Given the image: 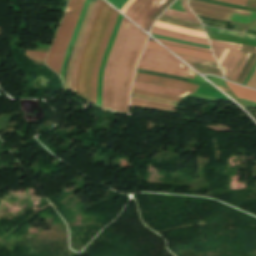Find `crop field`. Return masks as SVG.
Instances as JSON below:
<instances>
[{"label":"crop field","instance_id":"1","mask_svg":"<svg viewBox=\"0 0 256 256\" xmlns=\"http://www.w3.org/2000/svg\"><path fill=\"white\" fill-rule=\"evenodd\" d=\"M144 32L122 18L103 75L102 106L123 113L125 90Z\"/></svg>","mask_w":256,"mask_h":256},{"label":"crop field","instance_id":"2","mask_svg":"<svg viewBox=\"0 0 256 256\" xmlns=\"http://www.w3.org/2000/svg\"><path fill=\"white\" fill-rule=\"evenodd\" d=\"M114 10L102 2L95 18L91 33L79 62L76 77V94L91 103V77L98 50L102 44Z\"/></svg>","mask_w":256,"mask_h":256},{"label":"crop field","instance_id":"3","mask_svg":"<svg viewBox=\"0 0 256 256\" xmlns=\"http://www.w3.org/2000/svg\"><path fill=\"white\" fill-rule=\"evenodd\" d=\"M84 0H70L65 11L63 20L53 40L52 47L46 57V64L58 75L62 61L74 31Z\"/></svg>","mask_w":256,"mask_h":256},{"label":"crop field","instance_id":"4","mask_svg":"<svg viewBox=\"0 0 256 256\" xmlns=\"http://www.w3.org/2000/svg\"><path fill=\"white\" fill-rule=\"evenodd\" d=\"M140 69L153 70L191 79L194 72L170 53L145 49L138 63Z\"/></svg>","mask_w":256,"mask_h":256},{"label":"crop field","instance_id":"5","mask_svg":"<svg viewBox=\"0 0 256 256\" xmlns=\"http://www.w3.org/2000/svg\"><path fill=\"white\" fill-rule=\"evenodd\" d=\"M211 42V47H212V50L214 52V55L218 61L222 51L224 48H228L230 49L226 58L223 60L222 64H221V67H222V70H223V73L225 75V78L229 80L237 62L239 61L242 53L241 52H249V53H256V48L254 47H248V46H244L240 44H234V43H226V42H219V41H213V40H210ZM241 47V49H240ZM240 49L241 52H238ZM249 53L246 54L243 62L241 63L234 79H233V82H235L238 74L240 73L242 67L244 66L248 56H249ZM256 60V56L253 58L250 66L248 67V69L245 71L241 81H240V84L242 83L244 77L246 76V74L248 73L249 69L251 68V66L253 65V63L255 62ZM246 78V77H245Z\"/></svg>","mask_w":256,"mask_h":256},{"label":"crop field","instance_id":"6","mask_svg":"<svg viewBox=\"0 0 256 256\" xmlns=\"http://www.w3.org/2000/svg\"><path fill=\"white\" fill-rule=\"evenodd\" d=\"M167 0H136L125 12L129 19L145 29L148 20Z\"/></svg>","mask_w":256,"mask_h":256},{"label":"crop field","instance_id":"7","mask_svg":"<svg viewBox=\"0 0 256 256\" xmlns=\"http://www.w3.org/2000/svg\"><path fill=\"white\" fill-rule=\"evenodd\" d=\"M190 9L198 15H203L211 18L223 19L229 21L232 14L249 17L251 12L215 6L195 0H188Z\"/></svg>","mask_w":256,"mask_h":256},{"label":"crop field","instance_id":"8","mask_svg":"<svg viewBox=\"0 0 256 256\" xmlns=\"http://www.w3.org/2000/svg\"><path fill=\"white\" fill-rule=\"evenodd\" d=\"M134 80L159 84V85L176 88V89H181V90H187V91H191V92H195L196 88L198 87L197 85L189 84V83L182 82V81L154 77V76L143 75V74H138V73H136Z\"/></svg>","mask_w":256,"mask_h":256},{"label":"crop field","instance_id":"9","mask_svg":"<svg viewBox=\"0 0 256 256\" xmlns=\"http://www.w3.org/2000/svg\"><path fill=\"white\" fill-rule=\"evenodd\" d=\"M176 55L179 56L182 60H184L185 62H188V63L220 69L217 62H214V61L204 60V59H200V58L192 57V56H188V55H180V54H176ZM192 64H189V65H191L194 69H196L200 73L216 74V75H219V76L223 77L222 74H221V71H219V70L206 68V67H201V66H196V65H192Z\"/></svg>","mask_w":256,"mask_h":256},{"label":"crop field","instance_id":"10","mask_svg":"<svg viewBox=\"0 0 256 256\" xmlns=\"http://www.w3.org/2000/svg\"><path fill=\"white\" fill-rule=\"evenodd\" d=\"M93 1H95V0H93ZM93 1H91L89 6H88V9L86 11L85 17L83 19L80 31L78 33L76 42L74 44V47H73V50H72V53H71V57H70V60H69V64H68L67 71H66V77H65V91L70 90V77H71V71H72V67H73V63H74L75 53H76V50L78 48L79 42L81 40L82 34L84 32V29H85V26L87 24L88 18H89L90 13H91V10L93 8V5L95 3Z\"/></svg>","mask_w":256,"mask_h":256},{"label":"crop field","instance_id":"11","mask_svg":"<svg viewBox=\"0 0 256 256\" xmlns=\"http://www.w3.org/2000/svg\"><path fill=\"white\" fill-rule=\"evenodd\" d=\"M116 12H114L112 21H111L109 29H108V32H107L106 37H105V39L103 41V44L101 46V49H100V52H99V55L97 57L96 64H95L94 74H93V78H92V103H94V104H96L98 69H99V65H100V61H101L102 55H103L105 47H106V45H107V43L109 41V38L111 36L112 30H113V27H114V24H115L117 15H118V13H116Z\"/></svg>","mask_w":256,"mask_h":256},{"label":"crop field","instance_id":"12","mask_svg":"<svg viewBox=\"0 0 256 256\" xmlns=\"http://www.w3.org/2000/svg\"><path fill=\"white\" fill-rule=\"evenodd\" d=\"M133 88L144 90V91H149V92L173 95V96H177L180 98L191 93V92L171 89V88H167V87H162V86H158V85L145 84V83L136 82V81H134Z\"/></svg>","mask_w":256,"mask_h":256},{"label":"crop field","instance_id":"13","mask_svg":"<svg viewBox=\"0 0 256 256\" xmlns=\"http://www.w3.org/2000/svg\"><path fill=\"white\" fill-rule=\"evenodd\" d=\"M101 1L102 0H97L95 5H94V9H93L90 21L88 23V26H87L86 32L84 34L83 40H82L81 45L79 47V50L77 52V56H76V60H75V64H74V68H73V72H72V77H71V91H75V76H76V70H77L78 62H79V59H80L81 53L83 51V48H84V45H85L88 33H89V31H90V29L92 27L95 15L97 13V10H98V7H99Z\"/></svg>","mask_w":256,"mask_h":256},{"label":"crop field","instance_id":"14","mask_svg":"<svg viewBox=\"0 0 256 256\" xmlns=\"http://www.w3.org/2000/svg\"><path fill=\"white\" fill-rule=\"evenodd\" d=\"M151 33L159 34V35H164V36H168V37H172V38H176V39H180V40H185V41H189V42H193V43L209 45L208 39L199 38V37H193V36H189V35L173 32V31L161 29V28L154 27V26L152 28V32Z\"/></svg>","mask_w":256,"mask_h":256},{"label":"crop field","instance_id":"15","mask_svg":"<svg viewBox=\"0 0 256 256\" xmlns=\"http://www.w3.org/2000/svg\"><path fill=\"white\" fill-rule=\"evenodd\" d=\"M121 18H122V16L118 15V18H117V21H116V24H115V27H114L113 34H112V36L110 38L109 44H108V46H107V48L105 50V53L103 55L101 66H100V70H99L97 104L100 105V106H101V84H102V74H103L104 64L106 62V59L108 57V54H109L110 48L112 46L113 40L115 38L116 32H117L118 27L120 25Z\"/></svg>","mask_w":256,"mask_h":256},{"label":"crop field","instance_id":"16","mask_svg":"<svg viewBox=\"0 0 256 256\" xmlns=\"http://www.w3.org/2000/svg\"><path fill=\"white\" fill-rule=\"evenodd\" d=\"M90 0H86L85 1V4L83 6V9H82V12H81V15L79 17V20H78V23L76 25V28H75V31L73 33V36H72V39L70 41V44H69V47L67 49V52H66V55H65V58H64V61H63V65H62V69H61V74H60V77L62 79V81L64 82V74H65V70H66V66H67V61H68V57H69V53H70V50L75 42V39H76V36H77V33H78V30L80 28V25H81V22H82V19L84 17V14H85V11L87 9V6L89 4Z\"/></svg>","mask_w":256,"mask_h":256},{"label":"crop field","instance_id":"17","mask_svg":"<svg viewBox=\"0 0 256 256\" xmlns=\"http://www.w3.org/2000/svg\"><path fill=\"white\" fill-rule=\"evenodd\" d=\"M182 6L184 7L187 13H182L175 10L167 9L164 15L201 25L200 21L188 9L186 5V0H182Z\"/></svg>","mask_w":256,"mask_h":256},{"label":"crop field","instance_id":"18","mask_svg":"<svg viewBox=\"0 0 256 256\" xmlns=\"http://www.w3.org/2000/svg\"><path fill=\"white\" fill-rule=\"evenodd\" d=\"M226 84L237 97L256 102V91L245 87L236 86L228 82H226Z\"/></svg>","mask_w":256,"mask_h":256},{"label":"crop field","instance_id":"19","mask_svg":"<svg viewBox=\"0 0 256 256\" xmlns=\"http://www.w3.org/2000/svg\"><path fill=\"white\" fill-rule=\"evenodd\" d=\"M147 35L144 34L141 44H140V48L137 54V57L133 63V67H132V71H131V75H130V79H129V83H128V87H127V91H126V98H125V108H124V113H128V100H129V95H130V87H131V81H132V77H133V73H134V69H135V65H136V61L140 55V53L142 52L144 45H145V41L147 39Z\"/></svg>","mask_w":256,"mask_h":256},{"label":"crop field","instance_id":"20","mask_svg":"<svg viewBox=\"0 0 256 256\" xmlns=\"http://www.w3.org/2000/svg\"><path fill=\"white\" fill-rule=\"evenodd\" d=\"M155 26L162 27V28L169 29V30H173V31H177V32H181V33H185V34H190V35H194V36L207 38L205 33L197 32V31H194V30L185 29V28H181V27L172 26V25L162 23V22H158V21H156Z\"/></svg>","mask_w":256,"mask_h":256},{"label":"crop field","instance_id":"21","mask_svg":"<svg viewBox=\"0 0 256 256\" xmlns=\"http://www.w3.org/2000/svg\"><path fill=\"white\" fill-rule=\"evenodd\" d=\"M158 20L163 21V22H167V23H171V24H175V25H179V26H183V27H187V28H191V29H195V30H199V31H203L202 27L199 26V25H195V24H192V23L172 19V18H169V17L164 16V15H162Z\"/></svg>","mask_w":256,"mask_h":256},{"label":"crop field","instance_id":"22","mask_svg":"<svg viewBox=\"0 0 256 256\" xmlns=\"http://www.w3.org/2000/svg\"><path fill=\"white\" fill-rule=\"evenodd\" d=\"M166 47L169 48L171 51H173L175 53L188 54V55H193V56L202 57V58H206V59H210V60L215 61L212 54H209V53L197 52V51L186 50V49L175 48V47H169V46H166Z\"/></svg>","mask_w":256,"mask_h":256},{"label":"crop field","instance_id":"23","mask_svg":"<svg viewBox=\"0 0 256 256\" xmlns=\"http://www.w3.org/2000/svg\"><path fill=\"white\" fill-rule=\"evenodd\" d=\"M208 31L210 33L214 34H219V35H226V36H233V37H240V38H247V39H254L256 40V36H251V35H246V34H240V33H235V32H230V31H225V30H220L216 28H210L207 27Z\"/></svg>","mask_w":256,"mask_h":256},{"label":"crop field","instance_id":"24","mask_svg":"<svg viewBox=\"0 0 256 256\" xmlns=\"http://www.w3.org/2000/svg\"><path fill=\"white\" fill-rule=\"evenodd\" d=\"M132 92L138 93V94H144V95H149V96H154L162 99H167V100H172V101H177L180 102V98L177 97H172V96H166V95H160V94H154V93H149V92H144V91H139V90H134L132 89Z\"/></svg>","mask_w":256,"mask_h":256},{"label":"crop field","instance_id":"25","mask_svg":"<svg viewBox=\"0 0 256 256\" xmlns=\"http://www.w3.org/2000/svg\"><path fill=\"white\" fill-rule=\"evenodd\" d=\"M131 101H133V102H138V103H143V104H148V105L159 106V107H165V108H175V107H176V106H174V105H168V104L150 102V101L141 100V99H134V98H131Z\"/></svg>","mask_w":256,"mask_h":256},{"label":"crop field","instance_id":"26","mask_svg":"<svg viewBox=\"0 0 256 256\" xmlns=\"http://www.w3.org/2000/svg\"><path fill=\"white\" fill-rule=\"evenodd\" d=\"M131 97H134V98H141V99H147V100L156 101V102H162V103H168V104L178 105L177 102H172V101H167V100H162V99L153 98V97H147V96H142V95L132 94Z\"/></svg>","mask_w":256,"mask_h":256},{"label":"crop field","instance_id":"27","mask_svg":"<svg viewBox=\"0 0 256 256\" xmlns=\"http://www.w3.org/2000/svg\"><path fill=\"white\" fill-rule=\"evenodd\" d=\"M47 53L26 50V55L30 58L44 60Z\"/></svg>","mask_w":256,"mask_h":256},{"label":"crop field","instance_id":"28","mask_svg":"<svg viewBox=\"0 0 256 256\" xmlns=\"http://www.w3.org/2000/svg\"><path fill=\"white\" fill-rule=\"evenodd\" d=\"M173 0H168L156 13L155 15L149 20L147 27L145 29V31L148 32L152 22L154 21V19L172 2Z\"/></svg>","mask_w":256,"mask_h":256},{"label":"crop field","instance_id":"29","mask_svg":"<svg viewBox=\"0 0 256 256\" xmlns=\"http://www.w3.org/2000/svg\"><path fill=\"white\" fill-rule=\"evenodd\" d=\"M154 37L157 38H162V39H166V40H171V41H175V42H179V43H183V44H187V45H193V46H199V47H206V48H210L209 46H203V45H198V44H193V43H188V42H183V41H179V40H175V39H171V38H167V37H163V36H159V35H153Z\"/></svg>","mask_w":256,"mask_h":256},{"label":"crop field","instance_id":"30","mask_svg":"<svg viewBox=\"0 0 256 256\" xmlns=\"http://www.w3.org/2000/svg\"><path fill=\"white\" fill-rule=\"evenodd\" d=\"M110 4L114 5L119 10L128 0H107Z\"/></svg>","mask_w":256,"mask_h":256},{"label":"crop field","instance_id":"31","mask_svg":"<svg viewBox=\"0 0 256 256\" xmlns=\"http://www.w3.org/2000/svg\"><path fill=\"white\" fill-rule=\"evenodd\" d=\"M247 86H250V87H253V88L256 89V71L254 72V74L249 79V81L247 83Z\"/></svg>","mask_w":256,"mask_h":256},{"label":"crop field","instance_id":"32","mask_svg":"<svg viewBox=\"0 0 256 256\" xmlns=\"http://www.w3.org/2000/svg\"><path fill=\"white\" fill-rule=\"evenodd\" d=\"M131 105H133V106H139V107L152 108V109H158V110H163V111H166V110H167V109H165V108H159V107H154V106H148V105H143V104H138V103H133V102H131Z\"/></svg>","mask_w":256,"mask_h":256},{"label":"crop field","instance_id":"33","mask_svg":"<svg viewBox=\"0 0 256 256\" xmlns=\"http://www.w3.org/2000/svg\"><path fill=\"white\" fill-rule=\"evenodd\" d=\"M223 2H228V3H234V4H239V5H245L246 0H219Z\"/></svg>","mask_w":256,"mask_h":256},{"label":"crop field","instance_id":"34","mask_svg":"<svg viewBox=\"0 0 256 256\" xmlns=\"http://www.w3.org/2000/svg\"><path fill=\"white\" fill-rule=\"evenodd\" d=\"M148 48H153V49H157V50H162V51H165L161 46H159L158 44H155V43H150L148 42L147 43V46ZM167 52V51H166Z\"/></svg>","mask_w":256,"mask_h":256},{"label":"crop field","instance_id":"35","mask_svg":"<svg viewBox=\"0 0 256 256\" xmlns=\"http://www.w3.org/2000/svg\"><path fill=\"white\" fill-rule=\"evenodd\" d=\"M158 40L162 41V42H168V43L183 45V44H179V43H175V42H171V41H166V40H161V39H158ZM183 46H187V45H183ZM188 47H192V48H196V49H202V50H209L210 51V49H205V48H199V47H193V46H188Z\"/></svg>","mask_w":256,"mask_h":256},{"label":"crop field","instance_id":"36","mask_svg":"<svg viewBox=\"0 0 256 256\" xmlns=\"http://www.w3.org/2000/svg\"><path fill=\"white\" fill-rule=\"evenodd\" d=\"M135 0H129L124 6L123 8L120 10L122 13H124V11L134 2Z\"/></svg>","mask_w":256,"mask_h":256},{"label":"crop field","instance_id":"37","mask_svg":"<svg viewBox=\"0 0 256 256\" xmlns=\"http://www.w3.org/2000/svg\"><path fill=\"white\" fill-rule=\"evenodd\" d=\"M227 52H228V50H227V49H224V51H223V53H222V55H221V57H220V59H219V61H218L219 65H220V63L222 62V60H223V58L225 57V55L227 54Z\"/></svg>","mask_w":256,"mask_h":256},{"label":"crop field","instance_id":"38","mask_svg":"<svg viewBox=\"0 0 256 256\" xmlns=\"http://www.w3.org/2000/svg\"><path fill=\"white\" fill-rule=\"evenodd\" d=\"M245 54H246V53H244V54H243V56H242L241 60L239 61L238 65L236 66V68H235V70H234V72H233V74H232V76H231V78H230V81L232 80V78H233V76H234V74H235V72H236V70H237V68H238L239 64H240V63H241V61L243 60V58H244Z\"/></svg>","mask_w":256,"mask_h":256},{"label":"crop field","instance_id":"39","mask_svg":"<svg viewBox=\"0 0 256 256\" xmlns=\"http://www.w3.org/2000/svg\"><path fill=\"white\" fill-rule=\"evenodd\" d=\"M161 43H162V42H161ZM162 44L171 45V46H176V47H182V46H177V45L168 44V43H162ZM182 48H186V47H182ZM187 49H191V48H187ZM192 50H195V49H192ZM198 51H202V50H198ZM204 52H209V51H204ZM210 53H211V52H210Z\"/></svg>","mask_w":256,"mask_h":256},{"label":"crop field","instance_id":"40","mask_svg":"<svg viewBox=\"0 0 256 256\" xmlns=\"http://www.w3.org/2000/svg\"><path fill=\"white\" fill-rule=\"evenodd\" d=\"M148 41H150V42H154V41H151V40H148Z\"/></svg>","mask_w":256,"mask_h":256}]
</instances>
